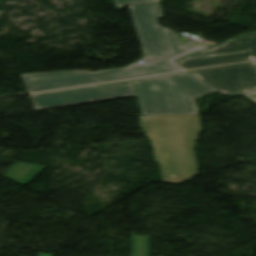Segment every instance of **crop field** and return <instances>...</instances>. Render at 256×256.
Segmentation results:
<instances>
[{"mask_svg": "<svg viewBox=\"0 0 256 256\" xmlns=\"http://www.w3.org/2000/svg\"><path fill=\"white\" fill-rule=\"evenodd\" d=\"M145 57L122 68L86 73L80 71L21 75L29 93L179 71L171 59L198 48L178 42L175 32L158 25L162 19L156 3L129 5Z\"/></svg>", "mask_w": 256, "mask_h": 256, "instance_id": "obj_1", "label": "crop field"}, {"mask_svg": "<svg viewBox=\"0 0 256 256\" xmlns=\"http://www.w3.org/2000/svg\"><path fill=\"white\" fill-rule=\"evenodd\" d=\"M190 73L224 95H243L256 103V62Z\"/></svg>", "mask_w": 256, "mask_h": 256, "instance_id": "obj_5", "label": "crop field"}, {"mask_svg": "<svg viewBox=\"0 0 256 256\" xmlns=\"http://www.w3.org/2000/svg\"><path fill=\"white\" fill-rule=\"evenodd\" d=\"M131 81L30 95L36 111L134 96Z\"/></svg>", "mask_w": 256, "mask_h": 256, "instance_id": "obj_4", "label": "crop field"}, {"mask_svg": "<svg viewBox=\"0 0 256 256\" xmlns=\"http://www.w3.org/2000/svg\"><path fill=\"white\" fill-rule=\"evenodd\" d=\"M134 81L143 116L197 114L194 98L215 91L188 72Z\"/></svg>", "mask_w": 256, "mask_h": 256, "instance_id": "obj_3", "label": "crop field"}, {"mask_svg": "<svg viewBox=\"0 0 256 256\" xmlns=\"http://www.w3.org/2000/svg\"><path fill=\"white\" fill-rule=\"evenodd\" d=\"M160 1V0H159Z\"/></svg>", "mask_w": 256, "mask_h": 256, "instance_id": "obj_11", "label": "crop field"}, {"mask_svg": "<svg viewBox=\"0 0 256 256\" xmlns=\"http://www.w3.org/2000/svg\"><path fill=\"white\" fill-rule=\"evenodd\" d=\"M44 168L45 166L41 165L17 162L16 165L9 170L4 177L20 185L24 183L29 184Z\"/></svg>", "mask_w": 256, "mask_h": 256, "instance_id": "obj_7", "label": "crop field"}, {"mask_svg": "<svg viewBox=\"0 0 256 256\" xmlns=\"http://www.w3.org/2000/svg\"><path fill=\"white\" fill-rule=\"evenodd\" d=\"M212 46H214V45H207V46L201 47V48H199V49H197V50H194V51H192V52H190V53H187V54H185V55H183V56H181V57H179V58H177V59H175V60H173V61L176 63V62H178V61H180V60H183V59H185V58H187V57H189V56H192V55H194V54H196V53H198V52H201V51H203V50H205V49H208V48H210V47H212Z\"/></svg>", "mask_w": 256, "mask_h": 256, "instance_id": "obj_10", "label": "crop field"}, {"mask_svg": "<svg viewBox=\"0 0 256 256\" xmlns=\"http://www.w3.org/2000/svg\"><path fill=\"white\" fill-rule=\"evenodd\" d=\"M152 143L164 183L179 184L197 174L194 149L202 131L198 115L139 117Z\"/></svg>", "mask_w": 256, "mask_h": 256, "instance_id": "obj_2", "label": "crop field"}, {"mask_svg": "<svg viewBox=\"0 0 256 256\" xmlns=\"http://www.w3.org/2000/svg\"><path fill=\"white\" fill-rule=\"evenodd\" d=\"M131 256H150L149 236H132Z\"/></svg>", "mask_w": 256, "mask_h": 256, "instance_id": "obj_8", "label": "crop field"}, {"mask_svg": "<svg viewBox=\"0 0 256 256\" xmlns=\"http://www.w3.org/2000/svg\"><path fill=\"white\" fill-rule=\"evenodd\" d=\"M252 59H256V31L245 33L176 64L192 69Z\"/></svg>", "mask_w": 256, "mask_h": 256, "instance_id": "obj_6", "label": "crop field"}, {"mask_svg": "<svg viewBox=\"0 0 256 256\" xmlns=\"http://www.w3.org/2000/svg\"><path fill=\"white\" fill-rule=\"evenodd\" d=\"M131 2H156L155 0H116L118 9L123 8Z\"/></svg>", "mask_w": 256, "mask_h": 256, "instance_id": "obj_9", "label": "crop field"}]
</instances>
